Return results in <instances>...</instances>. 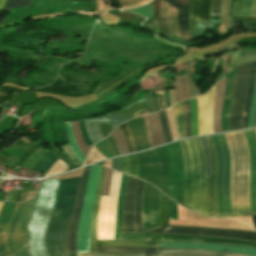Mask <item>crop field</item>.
<instances>
[{
	"label": "crop field",
	"mask_w": 256,
	"mask_h": 256,
	"mask_svg": "<svg viewBox=\"0 0 256 256\" xmlns=\"http://www.w3.org/2000/svg\"><path fill=\"white\" fill-rule=\"evenodd\" d=\"M143 184V181L130 176L124 203L123 232H142L141 201ZM144 232L224 237L256 242V232L233 231L225 229L163 226Z\"/></svg>",
	"instance_id": "1"
},
{
	"label": "crop field",
	"mask_w": 256,
	"mask_h": 256,
	"mask_svg": "<svg viewBox=\"0 0 256 256\" xmlns=\"http://www.w3.org/2000/svg\"><path fill=\"white\" fill-rule=\"evenodd\" d=\"M224 135L231 154V205L249 204V154L243 132ZM231 210L232 217L256 216L250 213V205L231 206Z\"/></svg>",
	"instance_id": "2"
},
{
	"label": "crop field",
	"mask_w": 256,
	"mask_h": 256,
	"mask_svg": "<svg viewBox=\"0 0 256 256\" xmlns=\"http://www.w3.org/2000/svg\"><path fill=\"white\" fill-rule=\"evenodd\" d=\"M80 178L62 179L56 193L55 212L46 231V246L52 256H69L65 236Z\"/></svg>",
	"instance_id": "3"
},
{
	"label": "crop field",
	"mask_w": 256,
	"mask_h": 256,
	"mask_svg": "<svg viewBox=\"0 0 256 256\" xmlns=\"http://www.w3.org/2000/svg\"><path fill=\"white\" fill-rule=\"evenodd\" d=\"M215 153L217 217H231L229 196L230 155L223 134L210 136Z\"/></svg>",
	"instance_id": "4"
},
{
	"label": "crop field",
	"mask_w": 256,
	"mask_h": 256,
	"mask_svg": "<svg viewBox=\"0 0 256 256\" xmlns=\"http://www.w3.org/2000/svg\"><path fill=\"white\" fill-rule=\"evenodd\" d=\"M185 160L184 207L200 214L199 203V159L193 139L179 142Z\"/></svg>",
	"instance_id": "5"
},
{
	"label": "crop field",
	"mask_w": 256,
	"mask_h": 256,
	"mask_svg": "<svg viewBox=\"0 0 256 256\" xmlns=\"http://www.w3.org/2000/svg\"><path fill=\"white\" fill-rule=\"evenodd\" d=\"M101 166H92L88 176V182L80 215L78 234H77V256L78 252H88L89 229L92 207L95 192L98 184Z\"/></svg>",
	"instance_id": "6"
},
{
	"label": "crop field",
	"mask_w": 256,
	"mask_h": 256,
	"mask_svg": "<svg viewBox=\"0 0 256 256\" xmlns=\"http://www.w3.org/2000/svg\"><path fill=\"white\" fill-rule=\"evenodd\" d=\"M120 176L121 174L113 172L109 198L101 199L97 222L98 239L113 238Z\"/></svg>",
	"instance_id": "7"
},
{
	"label": "crop field",
	"mask_w": 256,
	"mask_h": 256,
	"mask_svg": "<svg viewBox=\"0 0 256 256\" xmlns=\"http://www.w3.org/2000/svg\"><path fill=\"white\" fill-rule=\"evenodd\" d=\"M251 64L243 65L238 68L236 83L232 101V111L230 119V130L242 128L241 118L244 101L246 97L247 85Z\"/></svg>",
	"instance_id": "8"
},
{
	"label": "crop field",
	"mask_w": 256,
	"mask_h": 256,
	"mask_svg": "<svg viewBox=\"0 0 256 256\" xmlns=\"http://www.w3.org/2000/svg\"><path fill=\"white\" fill-rule=\"evenodd\" d=\"M139 179L146 180L159 188L161 179V159L158 148L137 153Z\"/></svg>",
	"instance_id": "9"
},
{
	"label": "crop field",
	"mask_w": 256,
	"mask_h": 256,
	"mask_svg": "<svg viewBox=\"0 0 256 256\" xmlns=\"http://www.w3.org/2000/svg\"><path fill=\"white\" fill-rule=\"evenodd\" d=\"M90 167H87L83 170V174L76 194L75 206L67 232V248L69 254L76 253L77 226Z\"/></svg>",
	"instance_id": "10"
},
{
	"label": "crop field",
	"mask_w": 256,
	"mask_h": 256,
	"mask_svg": "<svg viewBox=\"0 0 256 256\" xmlns=\"http://www.w3.org/2000/svg\"><path fill=\"white\" fill-rule=\"evenodd\" d=\"M128 175L122 173L118 203H117V212H116V225H115V236L114 239L121 240H140V241H149L153 234L148 233H122V212H123V202L126 191V185L128 181Z\"/></svg>",
	"instance_id": "11"
},
{
	"label": "crop field",
	"mask_w": 256,
	"mask_h": 256,
	"mask_svg": "<svg viewBox=\"0 0 256 256\" xmlns=\"http://www.w3.org/2000/svg\"><path fill=\"white\" fill-rule=\"evenodd\" d=\"M215 86L212 87L203 96L196 98L197 104H198L199 135L213 133V129H212V107H213Z\"/></svg>",
	"instance_id": "12"
},
{
	"label": "crop field",
	"mask_w": 256,
	"mask_h": 256,
	"mask_svg": "<svg viewBox=\"0 0 256 256\" xmlns=\"http://www.w3.org/2000/svg\"><path fill=\"white\" fill-rule=\"evenodd\" d=\"M248 143L251 169H250V202L251 212H256V136L254 130L243 131Z\"/></svg>",
	"instance_id": "13"
},
{
	"label": "crop field",
	"mask_w": 256,
	"mask_h": 256,
	"mask_svg": "<svg viewBox=\"0 0 256 256\" xmlns=\"http://www.w3.org/2000/svg\"><path fill=\"white\" fill-rule=\"evenodd\" d=\"M158 247L207 249V250L227 251V252H234V253L256 256V250L255 249L232 247V246H223V245H211V244H200V243L159 242Z\"/></svg>",
	"instance_id": "14"
},
{
	"label": "crop field",
	"mask_w": 256,
	"mask_h": 256,
	"mask_svg": "<svg viewBox=\"0 0 256 256\" xmlns=\"http://www.w3.org/2000/svg\"><path fill=\"white\" fill-rule=\"evenodd\" d=\"M126 123L128 125L135 150L138 151L149 148L150 145L146 135L143 116L132 119Z\"/></svg>",
	"instance_id": "15"
},
{
	"label": "crop field",
	"mask_w": 256,
	"mask_h": 256,
	"mask_svg": "<svg viewBox=\"0 0 256 256\" xmlns=\"http://www.w3.org/2000/svg\"><path fill=\"white\" fill-rule=\"evenodd\" d=\"M17 206L18 204L15 203L4 202L0 210V223L10 224ZM8 226L9 225L6 224H0V256H5L10 253L6 244ZM1 231H4V233L1 234Z\"/></svg>",
	"instance_id": "16"
},
{
	"label": "crop field",
	"mask_w": 256,
	"mask_h": 256,
	"mask_svg": "<svg viewBox=\"0 0 256 256\" xmlns=\"http://www.w3.org/2000/svg\"><path fill=\"white\" fill-rule=\"evenodd\" d=\"M131 118H133V117L111 116L110 113H108L104 116L87 119L85 121H86L88 130L90 132L91 138L95 144L98 140L104 138L99 130L98 122H109V124L113 130L117 126L116 122H125Z\"/></svg>",
	"instance_id": "17"
},
{
	"label": "crop field",
	"mask_w": 256,
	"mask_h": 256,
	"mask_svg": "<svg viewBox=\"0 0 256 256\" xmlns=\"http://www.w3.org/2000/svg\"><path fill=\"white\" fill-rule=\"evenodd\" d=\"M211 0H190L189 7V29L195 30L194 19L200 22L210 21Z\"/></svg>",
	"instance_id": "18"
},
{
	"label": "crop field",
	"mask_w": 256,
	"mask_h": 256,
	"mask_svg": "<svg viewBox=\"0 0 256 256\" xmlns=\"http://www.w3.org/2000/svg\"><path fill=\"white\" fill-rule=\"evenodd\" d=\"M236 71L237 69L228 73V78H227L226 88H225V95H224V103H223V109H222V115H221L222 132L229 130L231 101H232Z\"/></svg>",
	"instance_id": "19"
},
{
	"label": "crop field",
	"mask_w": 256,
	"mask_h": 256,
	"mask_svg": "<svg viewBox=\"0 0 256 256\" xmlns=\"http://www.w3.org/2000/svg\"><path fill=\"white\" fill-rule=\"evenodd\" d=\"M31 201L32 200L25 202L21 215L14 228L12 244L15 251L24 246V233L26 231V224L29 220Z\"/></svg>",
	"instance_id": "20"
},
{
	"label": "crop field",
	"mask_w": 256,
	"mask_h": 256,
	"mask_svg": "<svg viewBox=\"0 0 256 256\" xmlns=\"http://www.w3.org/2000/svg\"><path fill=\"white\" fill-rule=\"evenodd\" d=\"M169 5L178 9V22L184 42H192L188 29L189 0H164Z\"/></svg>",
	"instance_id": "21"
},
{
	"label": "crop field",
	"mask_w": 256,
	"mask_h": 256,
	"mask_svg": "<svg viewBox=\"0 0 256 256\" xmlns=\"http://www.w3.org/2000/svg\"><path fill=\"white\" fill-rule=\"evenodd\" d=\"M153 256H246L233 253L192 250V249H165L158 248Z\"/></svg>",
	"instance_id": "22"
},
{
	"label": "crop field",
	"mask_w": 256,
	"mask_h": 256,
	"mask_svg": "<svg viewBox=\"0 0 256 256\" xmlns=\"http://www.w3.org/2000/svg\"><path fill=\"white\" fill-rule=\"evenodd\" d=\"M169 158V181L167 195L176 200L177 161L176 152L172 144L166 145Z\"/></svg>",
	"instance_id": "23"
},
{
	"label": "crop field",
	"mask_w": 256,
	"mask_h": 256,
	"mask_svg": "<svg viewBox=\"0 0 256 256\" xmlns=\"http://www.w3.org/2000/svg\"><path fill=\"white\" fill-rule=\"evenodd\" d=\"M104 169H105V167L102 166L101 173H100L99 184H98L96 197H95L92 219H91L89 252H96V243H97V240H96V221H97V215H98L99 200H100L101 191H102Z\"/></svg>",
	"instance_id": "24"
},
{
	"label": "crop field",
	"mask_w": 256,
	"mask_h": 256,
	"mask_svg": "<svg viewBox=\"0 0 256 256\" xmlns=\"http://www.w3.org/2000/svg\"><path fill=\"white\" fill-rule=\"evenodd\" d=\"M208 146L212 155V176H208V186H207V194H208V202H209V217L216 218V203H215V193H214V185H215V176H216V167L213 149L211 146L209 136L206 137Z\"/></svg>",
	"instance_id": "25"
},
{
	"label": "crop field",
	"mask_w": 256,
	"mask_h": 256,
	"mask_svg": "<svg viewBox=\"0 0 256 256\" xmlns=\"http://www.w3.org/2000/svg\"><path fill=\"white\" fill-rule=\"evenodd\" d=\"M197 145L199 158L201 162V174H200V202H201V214L208 217V203H207V194H206V179L207 176H203V160H202V153L201 148L198 142V139H194Z\"/></svg>",
	"instance_id": "26"
},
{
	"label": "crop field",
	"mask_w": 256,
	"mask_h": 256,
	"mask_svg": "<svg viewBox=\"0 0 256 256\" xmlns=\"http://www.w3.org/2000/svg\"><path fill=\"white\" fill-rule=\"evenodd\" d=\"M177 152L178 160V181H177V202L183 205V181H184V161L179 143L173 144Z\"/></svg>",
	"instance_id": "27"
},
{
	"label": "crop field",
	"mask_w": 256,
	"mask_h": 256,
	"mask_svg": "<svg viewBox=\"0 0 256 256\" xmlns=\"http://www.w3.org/2000/svg\"><path fill=\"white\" fill-rule=\"evenodd\" d=\"M255 76H256V62L252 64V68H251V72H250L248 92H247V97H246L244 112H243V118H242L243 128H248L247 120H248V115H249L251 99H252Z\"/></svg>",
	"instance_id": "28"
},
{
	"label": "crop field",
	"mask_w": 256,
	"mask_h": 256,
	"mask_svg": "<svg viewBox=\"0 0 256 256\" xmlns=\"http://www.w3.org/2000/svg\"><path fill=\"white\" fill-rule=\"evenodd\" d=\"M156 244L157 242L106 240V241H98L97 246L154 247V245Z\"/></svg>",
	"instance_id": "29"
},
{
	"label": "crop field",
	"mask_w": 256,
	"mask_h": 256,
	"mask_svg": "<svg viewBox=\"0 0 256 256\" xmlns=\"http://www.w3.org/2000/svg\"><path fill=\"white\" fill-rule=\"evenodd\" d=\"M236 3H237V0H235L234 7H233L232 15L234 16L236 12ZM248 8H249V0H238L236 16H247ZM255 11H256V0H250V9H249L248 16L255 17Z\"/></svg>",
	"instance_id": "30"
},
{
	"label": "crop field",
	"mask_w": 256,
	"mask_h": 256,
	"mask_svg": "<svg viewBox=\"0 0 256 256\" xmlns=\"http://www.w3.org/2000/svg\"><path fill=\"white\" fill-rule=\"evenodd\" d=\"M156 248H117V247H97V252L102 253H146L150 256Z\"/></svg>",
	"instance_id": "31"
},
{
	"label": "crop field",
	"mask_w": 256,
	"mask_h": 256,
	"mask_svg": "<svg viewBox=\"0 0 256 256\" xmlns=\"http://www.w3.org/2000/svg\"><path fill=\"white\" fill-rule=\"evenodd\" d=\"M254 60H256V54H239V52L231 53L229 68L227 72L232 71L237 66L243 63L254 61Z\"/></svg>",
	"instance_id": "32"
},
{
	"label": "crop field",
	"mask_w": 256,
	"mask_h": 256,
	"mask_svg": "<svg viewBox=\"0 0 256 256\" xmlns=\"http://www.w3.org/2000/svg\"><path fill=\"white\" fill-rule=\"evenodd\" d=\"M25 89H30L27 87H23L20 85L16 84H10V83H5L1 88H0V106H3L4 103L15 93L21 90Z\"/></svg>",
	"instance_id": "33"
},
{
	"label": "crop field",
	"mask_w": 256,
	"mask_h": 256,
	"mask_svg": "<svg viewBox=\"0 0 256 256\" xmlns=\"http://www.w3.org/2000/svg\"><path fill=\"white\" fill-rule=\"evenodd\" d=\"M66 126V136L69 142L70 147L72 148L73 152L79 157V159L84 162L85 155L80 151L72 133L71 124L70 122H64Z\"/></svg>",
	"instance_id": "34"
},
{
	"label": "crop field",
	"mask_w": 256,
	"mask_h": 256,
	"mask_svg": "<svg viewBox=\"0 0 256 256\" xmlns=\"http://www.w3.org/2000/svg\"><path fill=\"white\" fill-rule=\"evenodd\" d=\"M198 139H199V142L202 148V153H203L205 175H211V161H210V154H209L207 143L204 137H201Z\"/></svg>",
	"instance_id": "35"
},
{
	"label": "crop field",
	"mask_w": 256,
	"mask_h": 256,
	"mask_svg": "<svg viewBox=\"0 0 256 256\" xmlns=\"http://www.w3.org/2000/svg\"><path fill=\"white\" fill-rule=\"evenodd\" d=\"M58 159L50 152L44 156L39 163L35 166V170L47 172V170L57 161Z\"/></svg>",
	"instance_id": "36"
},
{
	"label": "crop field",
	"mask_w": 256,
	"mask_h": 256,
	"mask_svg": "<svg viewBox=\"0 0 256 256\" xmlns=\"http://www.w3.org/2000/svg\"><path fill=\"white\" fill-rule=\"evenodd\" d=\"M175 118H176V123H177V128L179 132V137L180 139L184 137V127H183V111L181 104L178 103L174 106H172Z\"/></svg>",
	"instance_id": "37"
},
{
	"label": "crop field",
	"mask_w": 256,
	"mask_h": 256,
	"mask_svg": "<svg viewBox=\"0 0 256 256\" xmlns=\"http://www.w3.org/2000/svg\"><path fill=\"white\" fill-rule=\"evenodd\" d=\"M160 226L168 224V206H167V196L161 193L160 197V216H159Z\"/></svg>",
	"instance_id": "38"
},
{
	"label": "crop field",
	"mask_w": 256,
	"mask_h": 256,
	"mask_svg": "<svg viewBox=\"0 0 256 256\" xmlns=\"http://www.w3.org/2000/svg\"><path fill=\"white\" fill-rule=\"evenodd\" d=\"M203 239L204 237H197V236L161 234V240L203 242Z\"/></svg>",
	"instance_id": "39"
},
{
	"label": "crop field",
	"mask_w": 256,
	"mask_h": 256,
	"mask_svg": "<svg viewBox=\"0 0 256 256\" xmlns=\"http://www.w3.org/2000/svg\"><path fill=\"white\" fill-rule=\"evenodd\" d=\"M158 114H159L160 120H161V127H162V133H163L164 141H165V143L171 142L172 139H171V135H170V131H169L165 111L163 110V111L159 112Z\"/></svg>",
	"instance_id": "40"
},
{
	"label": "crop field",
	"mask_w": 256,
	"mask_h": 256,
	"mask_svg": "<svg viewBox=\"0 0 256 256\" xmlns=\"http://www.w3.org/2000/svg\"><path fill=\"white\" fill-rule=\"evenodd\" d=\"M183 110H184V122H185V137L191 136V127H190V106L189 102L183 101Z\"/></svg>",
	"instance_id": "41"
},
{
	"label": "crop field",
	"mask_w": 256,
	"mask_h": 256,
	"mask_svg": "<svg viewBox=\"0 0 256 256\" xmlns=\"http://www.w3.org/2000/svg\"><path fill=\"white\" fill-rule=\"evenodd\" d=\"M159 3H160V0H154V12H155V17L158 18L159 20V23L162 27V30L164 32V34L168 37H171L170 36V32H169V29H168V26H167V22H166V19L165 18H160V12H159Z\"/></svg>",
	"instance_id": "42"
},
{
	"label": "crop field",
	"mask_w": 256,
	"mask_h": 256,
	"mask_svg": "<svg viewBox=\"0 0 256 256\" xmlns=\"http://www.w3.org/2000/svg\"><path fill=\"white\" fill-rule=\"evenodd\" d=\"M124 138H125V141H126V144H127V149H128V153L130 152H134V147H133V144H132V140H131V137H130V134H129V131H128V128L126 126V124H122L119 126Z\"/></svg>",
	"instance_id": "43"
},
{
	"label": "crop field",
	"mask_w": 256,
	"mask_h": 256,
	"mask_svg": "<svg viewBox=\"0 0 256 256\" xmlns=\"http://www.w3.org/2000/svg\"><path fill=\"white\" fill-rule=\"evenodd\" d=\"M30 0H7L3 10L8 11L11 8L29 6Z\"/></svg>",
	"instance_id": "44"
},
{
	"label": "crop field",
	"mask_w": 256,
	"mask_h": 256,
	"mask_svg": "<svg viewBox=\"0 0 256 256\" xmlns=\"http://www.w3.org/2000/svg\"><path fill=\"white\" fill-rule=\"evenodd\" d=\"M23 204H24V203H23ZM23 204H20V205H19V207H18V209H17V211H16V213H15L13 219H12V222H11V225H10V227H9V230H8L7 244H8V246H9V249H10L11 252H13L12 245H11V235H12V231H13L14 224H15V222H16V220H17V218H18V216H19V214H20V212H21V209H22Z\"/></svg>",
	"instance_id": "45"
},
{
	"label": "crop field",
	"mask_w": 256,
	"mask_h": 256,
	"mask_svg": "<svg viewBox=\"0 0 256 256\" xmlns=\"http://www.w3.org/2000/svg\"><path fill=\"white\" fill-rule=\"evenodd\" d=\"M128 157V161H129V174L136 177L138 175V162L136 159V155H129Z\"/></svg>",
	"instance_id": "46"
},
{
	"label": "crop field",
	"mask_w": 256,
	"mask_h": 256,
	"mask_svg": "<svg viewBox=\"0 0 256 256\" xmlns=\"http://www.w3.org/2000/svg\"><path fill=\"white\" fill-rule=\"evenodd\" d=\"M60 148L70 161H72L76 165H82V162L74 155L67 143L60 146Z\"/></svg>",
	"instance_id": "47"
},
{
	"label": "crop field",
	"mask_w": 256,
	"mask_h": 256,
	"mask_svg": "<svg viewBox=\"0 0 256 256\" xmlns=\"http://www.w3.org/2000/svg\"><path fill=\"white\" fill-rule=\"evenodd\" d=\"M166 19H167V22H168V25H169L171 35L174 36V37L181 38L180 33H179V29H178L177 18L176 17H171V18H166Z\"/></svg>",
	"instance_id": "48"
},
{
	"label": "crop field",
	"mask_w": 256,
	"mask_h": 256,
	"mask_svg": "<svg viewBox=\"0 0 256 256\" xmlns=\"http://www.w3.org/2000/svg\"><path fill=\"white\" fill-rule=\"evenodd\" d=\"M128 11L138 13V14L144 15L149 18H152V16H153V7L149 6V5H145L143 7L128 10Z\"/></svg>",
	"instance_id": "49"
},
{
	"label": "crop field",
	"mask_w": 256,
	"mask_h": 256,
	"mask_svg": "<svg viewBox=\"0 0 256 256\" xmlns=\"http://www.w3.org/2000/svg\"><path fill=\"white\" fill-rule=\"evenodd\" d=\"M255 109H256V82H255L253 99H252L251 110H250L249 121H248L249 128L253 127Z\"/></svg>",
	"instance_id": "50"
},
{
	"label": "crop field",
	"mask_w": 256,
	"mask_h": 256,
	"mask_svg": "<svg viewBox=\"0 0 256 256\" xmlns=\"http://www.w3.org/2000/svg\"><path fill=\"white\" fill-rule=\"evenodd\" d=\"M160 155L162 159V175H168V159L165 151V147H160Z\"/></svg>",
	"instance_id": "51"
},
{
	"label": "crop field",
	"mask_w": 256,
	"mask_h": 256,
	"mask_svg": "<svg viewBox=\"0 0 256 256\" xmlns=\"http://www.w3.org/2000/svg\"><path fill=\"white\" fill-rule=\"evenodd\" d=\"M149 0H118L123 8L138 6L148 2Z\"/></svg>",
	"instance_id": "52"
},
{
	"label": "crop field",
	"mask_w": 256,
	"mask_h": 256,
	"mask_svg": "<svg viewBox=\"0 0 256 256\" xmlns=\"http://www.w3.org/2000/svg\"><path fill=\"white\" fill-rule=\"evenodd\" d=\"M150 113L159 111L155 96L145 97Z\"/></svg>",
	"instance_id": "53"
},
{
	"label": "crop field",
	"mask_w": 256,
	"mask_h": 256,
	"mask_svg": "<svg viewBox=\"0 0 256 256\" xmlns=\"http://www.w3.org/2000/svg\"><path fill=\"white\" fill-rule=\"evenodd\" d=\"M79 256H145V254H102V253H79Z\"/></svg>",
	"instance_id": "54"
},
{
	"label": "crop field",
	"mask_w": 256,
	"mask_h": 256,
	"mask_svg": "<svg viewBox=\"0 0 256 256\" xmlns=\"http://www.w3.org/2000/svg\"><path fill=\"white\" fill-rule=\"evenodd\" d=\"M168 200H169V219H178L176 203L172 201L170 198H168Z\"/></svg>",
	"instance_id": "55"
},
{
	"label": "crop field",
	"mask_w": 256,
	"mask_h": 256,
	"mask_svg": "<svg viewBox=\"0 0 256 256\" xmlns=\"http://www.w3.org/2000/svg\"><path fill=\"white\" fill-rule=\"evenodd\" d=\"M107 140H108V142H109V144H110V147H111V149H112L114 155H115V156H116V155H119V154H120L119 148H118V145H117V143H116V140H115V138H114L113 133H111V135L107 138Z\"/></svg>",
	"instance_id": "56"
},
{
	"label": "crop field",
	"mask_w": 256,
	"mask_h": 256,
	"mask_svg": "<svg viewBox=\"0 0 256 256\" xmlns=\"http://www.w3.org/2000/svg\"><path fill=\"white\" fill-rule=\"evenodd\" d=\"M221 2H222V0H214L213 5H212V14H211V16H219Z\"/></svg>",
	"instance_id": "57"
},
{
	"label": "crop field",
	"mask_w": 256,
	"mask_h": 256,
	"mask_svg": "<svg viewBox=\"0 0 256 256\" xmlns=\"http://www.w3.org/2000/svg\"><path fill=\"white\" fill-rule=\"evenodd\" d=\"M121 171L125 172L128 174V161H127V157H121Z\"/></svg>",
	"instance_id": "58"
},
{
	"label": "crop field",
	"mask_w": 256,
	"mask_h": 256,
	"mask_svg": "<svg viewBox=\"0 0 256 256\" xmlns=\"http://www.w3.org/2000/svg\"><path fill=\"white\" fill-rule=\"evenodd\" d=\"M112 168L120 171L119 158L112 160Z\"/></svg>",
	"instance_id": "59"
},
{
	"label": "crop field",
	"mask_w": 256,
	"mask_h": 256,
	"mask_svg": "<svg viewBox=\"0 0 256 256\" xmlns=\"http://www.w3.org/2000/svg\"><path fill=\"white\" fill-rule=\"evenodd\" d=\"M156 98H157V100H158L160 110L163 109V108H165L166 105H165V101H164V96L156 97Z\"/></svg>",
	"instance_id": "60"
},
{
	"label": "crop field",
	"mask_w": 256,
	"mask_h": 256,
	"mask_svg": "<svg viewBox=\"0 0 256 256\" xmlns=\"http://www.w3.org/2000/svg\"><path fill=\"white\" fill-rule=\"evenodd\" d=\"M17 252L20 254V256H29L25 247L18 250Z\"/></svg>",
	"instance_id": "61"
},
{
	"label": "crop field",
	"mask_w": 256,
	"mask_h": 256,
	"mask_svg": "<svg viewBox=\"0 0 256 256\" xmlns=\"http://www.w3.org/2000/svg\"><path fill=\"white\" fill-rule=\"evenodd\" d=\"M252 219H253L254 228L256 229V217H252Z\"/></svg>",
	"instance_id": "62"
},
{
	"label": "crop field",
	"mask_w": 256,
	"mask_h": 256,
	"mask_svg": "<svg viewBox=\"0 0 256 256\" xmlns=\"http://www.w3.org/2000/svg\"><path fill=\"white\" fill-rule=\"evenodd\" d=\"M4 1H5V0H0V10H1V8L3 7Z\"/></svg>",
	"instance_id": "63"
},
{
	"label": "crop field",
	"mask_w": 256,
	"mask_h": 256,
	"mask_svg": "<svg viewBox=\"0 0 256 256\" xmlns=\"http://www.w3.org/2000/svg\"><path fill=\"white\" fill-rule=\"evenodd\" d=\"M254 127H256V114H255V120H254Z\"/></svg>",
	"instance_id": "64"
},
{
	"label": "crop field",
	"mask_w": 256,
	"mask_h": 256,
	"mask_svg": "<svg viewBox=\"0 0 256 256\" xmlns=\"http://www.w3.org/2000/svg\"><path fill=\"white\" fill-rule=\"evenodd\" d=\"M15 256H19L17 252L13 253Z\"/></svg>",
	"instance_id": "65"
},
{
	"label": "crop field",
	"mask_w": 256,
	"mask_h": 256,
	"mask_svg": "<svg viewBox=\"0 0 256 256\" xmlns=\"http://www.w3.org/2000/svg\"><path fill=\"white\" fill-rule=\"evenodd\" d=\"M9 256H14L13 254L9 255Z\"/></svg>",
	"instance_id": "66"
},
{
	"label": "crop field",
	"mask_w": 256,
	"mask_h": 256,
	"mask_svg": "<svg viewBox=\"0 0 256 256\" xmlns=\"http://www.w3.org/2000/svg\"><path fill=\"white\" fill-rule=\"evenodd\" d=\"M2 203H0V207H1Z\"/></svg>",
	"instance_id": "67"
}]
</instances>
